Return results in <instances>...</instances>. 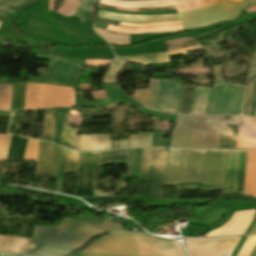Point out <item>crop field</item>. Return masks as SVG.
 Returning <instances> with one entry per match:
<instances>
[{"label":"crop field","mask_w":256,"mask_h":256,"mask_svg":"<svg viewBox=\"0 0 256 256\" xmlns=\"http://www.w3.org/2000/svg\"><path fill=\"white\" fill-rule=\"evenodd\" d=\"M214 78V86L222 83V66L211 68ZM213 86V87H214Z\"/></svg>","instance_id":"obj_46"},{"label":"crop field","mask_w":256,"mask_h":256,"mask_svg":"<svg viewBox=\"0 0 256 256\" xmlns=\"http://www.w3.org/2000/svg\"><path fill=\"white\" fill-rule=\"evenodd\" d=\"M121 58H123L129 62L143 64V65L170 63L167 52L127 56V57H121Z\"/></svg>","instance_id":"obj_26"},{"label":"crop field","mask_w":256,"mask_h":256,"mask_svg":"<svg viewBox=\"0 0 256 256\" xmlns=\"http://www.w3.org/2000/svg\"><path fill=\"white\" fill-rule=\"evenodd\" d=\"M253 1L254 0H242L240 4L235 5L234 3L228 0H225L218 4L210 5L198 10H191L187 12H181L178 14L184 30L199 28V27H204L209 24H213L228 18L238 16L239 15L238 13L240 12V10L246 7L247 5H249ZM99 3L118 5L122 7H132V8L174 5L172 0H153V1H135V2L119 1V0H100ZM255 4H256V0L252 5H255ZM97 17L115 20V21H124V22H160V21L179 20L177 14L129 16V15H118V14L104 12L100 10H98Z\"/></svg>","instance_id":"obj_1"},{"label":"crop field","mask_w":256,"mask_h":256,"mask_svg":"<svg viewBox=\"0 0 256 256\" xmlns=\"http://www.w3.org/2000/svg\"><path fill=\"white\" fill-rule=\"evenodd\" d=\"M173 24H181V23H180V21L168 22V23H149V24H127V23H122V22L119 23V25L137 26V27L158 26V25H173Z\"/></svg>","instance_id":"obj_49"},{"label":"crop field","mask_w":256,"mask_h":256,"mask_svg":"<svg viewBox=\"0 0 256 256\" xmlns=\"http://www.w3.org/2000/svg\"><path fill=\"white\" fill-rule=\"evenodd\" d=\"M16 190H18V191H22V192L42 193V194H46V195H50V196L57 197V195H56V194H51V193L42 192V191H36V190H30V189H24V188H18V187H16Z\"/></svg>","instance_id":"obj_53"},{"label":"crop field","mask_w":256,"mask_h":256,"mask_svg":"<svg viewBox=\"0 0 256 256\" xmlns=\"http://www.w3.org/2000/svg\"><path fill=\"white\" fill-rule=\"evenodd\" d=\"M106 30L112 31V32H124V33H160V32L183 31L181 25L147 27V28H130V27H118V26H113L109 24L107 25Z\"/></svg>","instance_id":"obj_23"},{"label":"crop field","mask_w":256,"mask_h":256,"mask_svg":"<svg viewBox=\"0 0 256 256\" xmlns=\"http://www.w3.org/2000/svg\"><path fill=\"white\" fill-rule=\"evenodd\" d=\"M250 234H256V225H255V227L253 228V230L251 231Z\"/></svg>","instance_id":"obj_60"},{"label":"crop field","mask_w":256,"mask_h":256,"mask_svg":"<svg viewBox=\"0 0 256 256\" xmlns=\"http://www.w3.org/2000/svg\"><path fill=\"white\" fill-rule=\"evenodd\" d=\"M101 227L106 228L108 230L112 231H124L120 225H117L113 223V221L105 219V221L102 223Z\"/></svg>","instance_id":"obj_50"},{"label":"crop field","mask_w":256,"mask_h":256,"mask_svg":"<svg viewBox=\"0 0 256 256\" xmlns=\"http://www.w3.org/2000/svg\"><path fill=\"white\" fill-rule=\"evenodd\" d=\"M82 252L120 256H186L177 242L133 233L108 234Z\"/></svg>","instance_id":"obj_3"},{"label":"crop field","mask_w":256,"mask_h":256,"mask_svg":"<svg viewBox=\"0 0 256 256\" xmlns=\"http://www.w3.org/2000/svg\"><path fill=\"white\" fill-rule=\"evenodd\" d=\"M4 137H0V148Z\"/></svg>","instance_id":"obj_62"},{"label":"crop field","mask_w":256,"mask_h":256,"mask_svg":"<svg viewBox=\"0 0 256 256\" xmlns=\"http://www.w3.org/2000/svg\"><path fill=\"white\" fill-rule=\"evenodd\" d=\"M56 134L55 111L44 112L41 140L53 142Z\"/></svg>","instance_id":"obj_28"},{"label":"crop field","mask_w":256,"mask_h":256,"mask_svg":"<svg viewBox=\"0 0 256 256\" xmlns=\"http://www.w3.org/2000/svg\"><path fill=\"white\" fill-rule=\"evenodd\" d=\"M56 120H57V134H56L55 143L60 145L62 127L71 128L70 111L57 110Z\"/></svg>","instance_id":"obj_34"},{"label":"crop field","mask_w":256,"mask_h":256,"mask_svg":"<svg viewBox=\"0 0 256 256\" xmlns=\"http://www.w3.org/2000/svg\"><path fill=\"white\" fill-rule=\"evenodd\" d=\"M213 88L196 87L191 115H207Z\"/></svg>","instance_id":"obj_21"},{"label":"crop field","mask_w":256,"mask_h":256,"mask_svg":"<svg viewBox=\"0 0 256 256\" xmlns=\"http://www.w3.org/2000/svg\"><path fill=\"white\" fill-rule=\"evenodd\" d=\"M182 89L175 80H160L155 109L177 113Z\"/></svg>","instance_id":"obj_10"},{"label":"crop field","mask_w":256,"mask_h":256,"mask_svg":"<svg viewBox=\"0 0 256 256\" xmlns=\"http://www.w3.org/2000/svg\"><path fill=\"white\" fill-rule=\"evenodd\" d=\"M27 139L12 135L6 160H23Z\"/></svg>","instance_id":"obj_32"},{"label":"crop field","mask_w":256,"mask_h":256,"mask_svg":"<svg viewBox=\"0 0 256 256\" xmlns=\"http://www.w3.org/2000/svg\"><path fill=\"white\" fill-rule=\"evenodd\" d=\"M81 67L56 59L45 82L74 86Z\"/></svg>","instance_id":"obj_13"},{"label":"crop field","mask_w":256,"mask_h":256,"mask_svg":"<svg viewBox=\"0 0 256 256\" xmlns=\"http://www.w3.org/2000/svg\"><path fill=\"white\" fill-rule=\"evenodd\" d=\"M56 1L57 0H50V3H49L50 10H54ZM78 6H79L78 0H65L63 5L57 10V12L65 16H73Z\"/></svg>","instance_id":"obj_36"},{"label":"crop field","mask_w":256,"mask_h":256,"mask_svg":"<svg viewBox=\"0 0 256 256\" xmlns=\"http://www.w3.org/2000/svg\"><path fill=\"white\" fill-rule=\"evenodd\" d=\"M112 60L86 59L85 66H107Z\"/></svg>","instance_id":"obj_47"},{"label":"crop field","mask_w":256,"mask_h":256,"mask_svg":"<svg viewBox=\"0 0 256 256\" xmlns=\"http://www.w3.org/2000/svg\"><path fill=\"white\" fill-rule=\"evenodd\" d=\"M3 1V0H0V2Z\"/></svg>","instance_id":"obj_66"},{"label":"crop field","mask_w":256,"mask_h":256,"mask_svg":"<svg viewBox=\"0 0 256 256\" xmlns=\"http://www.w3.org/2000/svg\"><path fill=\"white\" fill-rule=\"evenodd\" d=\"M221 195V188L212 190L179 188V199H207Z\"/></svg>","instance_id":"obj_27"},{"label":"crop field","mask_w":256,"mask_h":256,"mask_svg":"<svg viewBox=\"0 0 256 256\" xmlns=\"http://www.w3.org/2000/svg\"><path fill=\"white\" fill-rule=\"evenodd\" d=\"M134 153H135V149H133V153H132V163H131V173H130V177H132V173H133Z\"/></svg>","instance_id":"obj_57"},{"label":"crop field","mask_w":256,"mask_h":256,"mask_svg":"<svg viewBox=\"0 0 256 256\" xmlns=\"http://www.w3.org/2000/svg\"><path fill=\"white\" fill-rule=\"evenodd\" d=\"M250 256H256V246H255V248H254V250H253V252Z\"/></svg>","instance_id":"obj_59"},{"label":"crop field","mask_w":256,"mask_h":256,"mask_svg":"<svg viewBox=\"0 0 256 256\" xmlns=\"http://www.w3.org/2000/svg\"><path fill=\"white\" fill-rule=\"evenodd\" d=\"M4 84H14L13 103L10 116H15L16 110H23L26 84L16 83V79H6Z\"/></svg>","instance_id":"obj_25"},{"label":"crop field","mask_w":256,"mask_h":256,"mask_svg":"<svg viewBox=\"0 0 256 256\" xmlns=\"http://www.w3.org/2000/svg\"><path fill=\"white\" fill-rule=\"evenodd\" d=\"M255 108H256V87H255V92H254V97H253V102H252V108H251L250 115H254Z\"/></svg>","instance_id":"obj_54"},{"label":"crop field","mask_w":256,"mask_h":256,"mask_svg":"<svg viewBox=\"0 0 256 256\" xmlns=\"http://www.w3.org/2000/svg\"><path fill=\"white\" fill-rule=\"evenodd\" d=\"M244 91L240 86L215 87L208 115L240 114Z\"/></svg>","instance_id":"obj_6"},{"label":"crop field","mask_w":256,"mask_h":256,"mask_svg":"<svg viewBox=\"0 0 256 256\" xmlns=\"http://www.w3.org/2000/svg\"><path fill=\"white\" fill-rule=\"evenodd\" d=\"M111 135H82L80 150L98 152L110 149Z\"/></svg>","instance_id":"obj_20"},{"label":"crop field","mask_w":256,"mask_h":256,"mask_svg":"<svg viewBox=\"0 0 256 256\" xmlns=\"http://www.w3.org/2000/svg\"><path fill=\"white\" fill-rule=\"evenodd\" d=\"M80 1L84 8L94 12V4L96 0H80Z\"/></svg>","instance_id":"obj_51"},{"label":"crop field","mask_w":256,"mask_h":256,"mask_svg":"<svg viewBox=\"0 0 256 256\" xmlns=\"http://www.w3.org/2000/svg\"><path fill=\"white\" fill-rule=\"evenodd\" d=\"M81 130L63 128L61 145L79 150Z\"/></svg>","instance_id":"obj_33"},{"label":"crop field","mask_w":256,"mask_h":256,"mask_svg":"<svg viewBox=\"0 0 256 256\" xmlns=\"http://www.w3.org/2000/svg\"><path fill=\"white\" fill-rule=\"evenodd\" d=\"M84 238L92 239L100 234L108 233L93 226L82 224L72 220H63L56 227H44Z\"/></svg>","instance_id":"obj_15"},{"label":"crop field","mask_w":256,"mask_h":256,"mask_svg":"<svg viewBox=\"0 0 256 256\" xmlns=\"http://www.w3.org/2000/svg\"><path fill=\"white\" fill-rule=\"evenodd\" d=\"M29 239L20 237H8L0 236V251L2 252H12L17 254H26L29 245Z\"/></svg>","instance_id":"obj_22"},{"label":"crop field","mask_w":256,"mask_h":256,"mask_svg":"<svg viewBox=\"0 0 256 256\" xmlns=\"http://www.w3.org/2000/svg\"><path fill=\"white\" fill-rule=\"evenodd\" d=\"M152 133H138L120 140V148L150 147Z\"/></svg>","instance_id":"obj_30"},{"label":"crop field","mask_w":256,"mask_h":256,"mask_svg":"<svg viewBox=\"0 0 256 256\" xmlns=\"http://www.w3.org/2000/svg\"><path fill=\"white\" fill-rule=\"evenodd\" d=\"M42 1H43V0H39V1H37V2H35V3H33V4H31V5H29V6L25 7V8H23V9H21V10L15 12V13L23 14V13H25V12L31 10V9H34V8L40 6L41 3H42Z\"/></svg>","instance_id":"obj_52"},{"label":"crop field","mask_w":256,"mask_h":256,"mask_svg":"<svg viewBox=\"0 0 256 256\" xmlns=\"http://www.w3.org/2000/svg\"><path fill=\"white\" fill-rule=\"evenodd\" d=\"M88 254L86 253H81V254H75V255H71V256H87Z\"/></svg>","instance_id":"obj_58"},{"label":"crop field","mask_w":256,"mask_h":256,"mask_svg":"<svg viewBox=\"0 0 256 256\" xmlns=\"http://www.w3.org/2000/svg\"><path fill=\"white\" fill-rule=\"evenodd\" d=\"M167 149H143L137 195L162 198Z\"/></svg>","instance_id":"obj_4"},{"label":"crop field","mask_w":256,"mask_h":256,"mask_svg":"<svg viewBox=\"0 0 256 256\" xmlns=\"http://www.w3.org/2000/svg\"><path fill=\"white\" fill-rule=\"evenodd\" d=\"M0 256H16V255H10V254H3V253H0Z\"/></svg>","instance_id":"obj_61"},{"label":"crop field","mask_w":256,"mask_h":256,"mask_svg":"<svg viewBox=\"0 0 256 256\" xmlns=\"http://www.w3.org/2000/svg\"><path fill=\"white\" fill-rule=\"evenodd\" d=\"M255 212H256V209L235 212L227 223H225L223 226H221L220 228H218L216 230L210 231L205 237L243 235L244 232L249 227ZM245 213H249V215L245 214ZM240 214H245V215H241L240 218L238 219ZM247 215H248V219H247ZM246 219H247V221H246ZM236 220H237V222H236ZM245 221H246V223H245ZM244 223H245V225H244ZM241 227H242V229H241ZM229 228H230L229 231L240 230V229L241 230L234 231V232H227Z\"/></svg>","instance_id":"obj_14"},{"label":"crop field","mask_w":256,"mask_h":256,"mask_svg":"<svg viewBox=\"0 0 256 256\" xmlns=\"http://www.w3.org/2000/svg\"><path fill=\"white\" fill-rule=\"evenodd\" d=\"M235 148L256 149V118L242 116Z\"/></svg>","instance_id":"obj_16"},{"label":"crop field","mask_w":256,"mask_h":256,"mask_svg":"<svg viewBox=\"0 0 256 256\" xmlns=\"http://www.w3.org/2000/svg\"><path fill=\"white\" fill-rule=\"evenodd\" d=\"M97 155L79 152L76 196H91Z\"/></svg>","instance_id":"obj_11"},{"label":"crop field","mask_w":256,"mask_h":256,"mask_svg":"<svg viewBox=\"0 0 256 256\" xmlns=\"http://www.w3.org/2000/svg\"><path fill=\"white\" fill-rule=\"evenodd\" d=\"M195 42H198V41L193 40V39L183 38V39H178V40L167 41V42H165V44H166L167 50H171V49H175L178 47L194 44ZM199 49H201V48H200L199 44L196 43L194 46H191V47L168 51V54H169V56H171V55H176V54L190 52V51L199 50Z\"/></svg>","instance_id":"obj_29"},{"label":"crop field","mask_w":256,"mask_h":256,"mask_svg":"<svg viewBox=\"0 0 256 256\" xmlns=\"http://www.w3.org/2000/svg\"><path fill=\"white\" fill-rule=\"evenodd\" d=\"M226 150L169 149L165 185H222Z\"/></svg>","instance_id":"obj_2"},{"label":"crop field","mask_w":256,"mask_h":256,"mask_svg":"<svg viewBox=\"0 0 256 256\" xmlns=\"http://www.w3.org/2000/svg\"><path fill=\"white\" fill-rule=\"evenodd\" d=\"M196 118L179 116L174 131L173 147H190Z\"/></svg>","instance_id":"obj_17"},{"label":"crop field","mask_w":256,"mask_h":256,"mask_svg":"<svg viewBox=\"0 0 256 256\" xmlns=\"http://www.w3.org/2000/svg\"><path fill=\"white\" fill-rule=\"evenodd\" d=\"M10 138H11V135H5L2 148H1V153H0V161H5L7 150L10 143Z\"/></svg>","instance_id":"obj_48"},{"label":"crop field","mask_w":256,"mask_h":256,"mask_svg":"<svg viewBox=\"0 0 256 256\" xmlns=\"http://www.w3.org/2000/svg\"><path fill=\"white\" fill-rule=\"evenodd\" d=\"M194 89L195 87H184L178 113L190 115Z\"/></svg>","instance_id":"obj_35"},{"label":"crop field","mask_w":256,"mask_h":256,"mask_svg":"<svg viewBox=\"0 0 256 256\" xmlns=\"http://www.w3.org/2000/svg\"><path fill=\"white\" fill-rule=\"evenodd\" d=\"M38 140L30 139L28 140L26 152H25V158L24 161H35L36 154H37V148H38Z\"/></svg>","instance_id":"obj_42"},{"label":"crop field","mask_w":256,"mask_h":256,"mask_svg":"<svg viewBox=\"0 0 256 256\" xmlns=\"http://www.w3.org/2000/svg\"><path fill=\"white\" fill-rule=\"evenodd\" d=\"M255 244H256V235L248 236L237 256H249Z\"/></svg>","instance_id":"obj_43"},{"label":"crop field","mask_w":256,"mask_h":256,"mask_svg":"<svg viewBox=\"0 0 256 256\" xmlns=\"http://www.w3.org/2000/svg\"><path fill=\"white\" fill-rule=\"evenodd\" d=\"M241 237H222L208 239L185 238L191 256H230Z\"/></svg>","instance_id":"obj_7"},{"label":"crop field","mask_w":256,"mask_h":256,"mask_svg":"<svg viewBox=\"0 0 256 256\" xmlns=\"http://www.w3.org/2000/svg\"><path fill=\"white\" fill-rule=\"evenodd\" d=\"M78 152L61 147L59 171H76Z\"/></svg>","instance_id":"obj_31"},{"label":"crop field","mask_w":256,"mask_h":256,"mask_svg":"<svg viewBox=\"0 0 256 256\" xmlns=\"http://www.w3.org/2000/svg\"><path fill=\"white\" fill-rule=\"evenodd\" d=\"M88 239L35 227L31 246L26 255H64L83 246L90 241Z\"/></svg>","instance_id":"obj_5"},{"label":"crop field","mask_w":256,"mask_h":256,"mask_svg":"<svg viewBox=\"0 0 256 256\" xmlns=\"http://www.w3.org/2000/svg\"><path fill=\"white\" fill-rule=\"evenodd\" d=\"M0 86H12V85H0ZM1 111H7V110H1Z\"/></svg>","instance_id":"obj_64"},{"label":"crop field","mask_w":256,"mask_h":256,"mask_svg":"<svg viewBox=\"0 0 256 256\" xmlns=\"http://www.w3.org/2000/svg\"><path fill=\"white\" fill-rule=\"evenodd\" d=\"M59 151V146L40 141L35 174H49L51 177H57Z\"/></svg>","instance_id":"obj_12"},{"label":"crop field","mask_w":256,"mask_h":256,"mask_svg":"<svg viewBox=\"0 0 256 256\" xmlns=\"http://www.w3.org/2000/svg\"><path fill=\"white\" fill-rule=\"evenodd\" d=\"M83 9L79 6V8L77 9L76 13L74 14V17L79 18L81 13H82Z\"/></svg>","instance_id":"obj_56"},{"label":"crop field","mask_w":256,"mask_h":256,"mask_svg":"<svg viewBox=\"0 0 256 256\" xmlns=\"http://www.w3.org/2000/svg\"><path fill=\"white\" fill-rule=\"evenodd\" d=\"M241 116H224L218 148H234Z\"/></svg>","instance_id":"obj_18"},{"label":"crop field","mask_w":256,"mask_h":256,"mask_svg":"<svg viewBox=\"0 0 256 256\" xmlns=\"http://www.w3.org/2000/svg\"><path fill=\"white\" fill-rule=\"evenodd\" d=\"M99 6L109 8V9L126 10V11H166V10L176 9L175 6L145 8V9L120 8V7H116V6L102 5V4H99Z\"/></svg>","instance_id":"obj_44"},{"label":"crop field","mask_w":256,"mask_h":256,"mask_svg":"<svg viewBox=\"0 0 256 256\" xmlns=\"http://www.w3.org/2000/svg\"><path fill=\"white\" fill-rule=\"evenodd\" d=\"M243 195L256 197V151H248Z\"/></svg>","instance_id":"obj_19"},{"label":"crop field","mask_w":256,"mask_h":256,"mask_svg":"<svg viewBox=\"0 0 256 256\" xmlns=\"http://www.w3.org/2000/svg\"><path fill=\"white\" fill-rule=\"evenodd\" d=\"M222 118H197L191 147L217 148Z\"/></svg>","instance_id":"obj_9"},{"label":"crop field","mask_w":256,"mask_h":256,"mask_svg":"<svg viewBox=\"0 0 256 256\" xmlns=\"http://www.w3.org/2000/svg\"><path fill=\"white\" fill-rule=\"evenodd\" d=\"M158 82L159 80L151 79L149 89L135 90L132 97L141 101L147 107L154 109Z\"/></svg>","instance_id":"obj_24"},{"label":"crop field","mask_w":256,"mask_h":256,"mask_svg":"<svg viewBox=\"0 0 256 256\" xmlns=\"http://www.w3.org/2000/svg\"><path fill=\"white\" fill-rule=\"evenodd\" d=\"M28 85L29 83H27V88H26V99H25V109L24 111L26 110V102H27V96H28ZM73 90V107H74V96H75V91L73 88H71Z\"/></svg>","instance_id":"obj_55"},{"label":"crop field","mask_w":256,"mask_h":256,"mask_svg":"<svg viewBox=\"0 0 256 256\" xmlns=\"http://www.w3.org/2000/svg\"><path fill=\"white\" fill-rule=\"evenodd\" d=\"M88 256H99V255H92V254H89Z\"/></svg>","instance_id":"obj_65"},{"label":"crop field","mask_w":256,"mask_h":256,"mask_svg":"<svg viewBox=\"0 0 256 256\" xmlns=\"http://www.w3.org/2000/svg\"><path fill=\"white\" fill-rule=\"evenodd\" d=\"M89 202L93 206H97L104 203L121 201V200H131V197H124V198H82Z\"/></svg>","instance_id":"obj_45"},{"label":"crop field","mask_w":256,"mask_h":256,"mask_svg":"<svg viewBox=\"0 0 256 256\" xmlns=\"http://www.w3.org/2000/svg\"><path fill=\"white\" fill-rule=\"evenodd\" d=\"M37 0H13L11 2H8L2 6H0L1 10L13 13Z\"/></svg>","instance_id":"obj_41"},{"label":"crop field","mask_w":256,"mask_h":256,"mask_svg":"<svg viewBox=\"0 0 256 256\" xmlns=\"http://www.w3.org/2000/svg\"><path fill=\"white\" fill-rule=\"evenodd\" d=\"M234 1L236 4L239 3L241 0H231Z\"/></svg>","instance_id":"obj_63"},{"label":"crop field","mask_w":256,"mask_h":256,"mask_svg":"<svg viewBox=\"0 0 256 256\" xmlns=\"http://www.w3.org/2000/svg\"><path fill=\"white\" fill-rule=\"evenodd\" d=\"M128 150H111L100 153L99 163L112 160H127Z\"/></svg>","instance_id":"obj_38"},{"label":"crop field","mask_w":256,"mask_h":256,"mask_svg":"<svg viewBox=\"0 0 256 256\" xmlns=\"http://www.w3.org/2000/svg\"><path fill=\"white\" fill-rule=\"evenodd\" d=\"M95 30L102 37H104L108 43L121 44V45L129 44V35L108 33V32H106L102 29H99L97 27H95Z\"/></svg>","instance_id":"obj_37"},{"label":"crop field","mask_w":256,"mask_h":256,"mask_svg":"<svg viewBox=\"0 0 256 256\" xmlns=\"http://www.w3.org/2000/svg\"><path fill=\"white\" fill-rule=\"evenodd\" d=\"M247 151L227 150L223 192L242 193Z\"/></svg>","instance_id":"obj_8"},{"label":"crop field","mask_w":256,"mask_h":256,"mask_svg":"<svg viewBox=\"0 0 256 256\" xmlns=\"http://www.w3.org/2000/svg\"><path fill=\"white\" fill-rule=\"evenodd\" d=\"M255 81H256V75L249 78L242 114L249 115L250 113Z\"/></svg>","instance_id":"obj_39"},{"label":"crop field","mask_w":256,"mask_h":256,"mask_svg":"<svg viewBox=\"0 0 256 256\" xmlns=\"http://www.w3.org/2000/svg\"><path fill=\"white\" fill-rule=\"evenodd\" d=\"M126 65V63L122 62L121 60L115 58L114 62L112 63L110 69L106 73L102 82H109L115 83V78L118 72Z\"/></svg>","instance_id":"obj_40"}]
</instances>
